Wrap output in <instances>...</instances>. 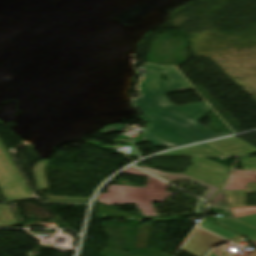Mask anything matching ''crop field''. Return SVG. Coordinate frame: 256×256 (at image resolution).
Wrapping results in <instances>:
<instances>
[{"label":"crop field","instance_id":"9","mask_svg":"<svg viewBox=\"0 0 256 256\" xmlns=\"http://www.w3.org/2000/svg\"><path fill=\"white\" fill-rule=\"evenodd\" d=\"M140 168L168 181V182H172V181H176V180H181V179H185L187 181H190L192 183H195L197 185H200L202 187H205L207 189H209L206 193H204L200 198L208 201L212 196L213 194L219 189L217 187H214L212 185H209L207 183H204L200 180H197L195 178H192L190 176H187L185 174H181V175H175V174H169V173H164V172H161V171H158V170H155L153 168H149V167H143V166H140Z\"/></svg>","mask_w":256,"mask_h":256},{"label":"crop field","instance_id":"4","mask_svg":"<svg viewBox=\"0 0 256 256\" xmlns=\"http://www.w3.org/2000/svg\"><path fill=\"white\" fill-rule=\"evenodd\" d=\"M151 122L148 130L143 135L142 141L133 140V143L140 142L151 143L154 146L179 147L187 144L196 143V141L185 135L168 128L162 124L148 120L145 116L140 118Z\"/></svg>","mask_w":256,"mask_h":256},{"label":"crop field","instance_id":"12","mask_svg":"<svg viewBox=\"0 0 256 256\" xmlns=\"http://www.w3.org/2000/svg\"><path fill=\"white\" fill-rule=\"evenodd\" d=\"M164 154H169V155H220L216 153L215 151L205 147V146H200V145H194L178 150H174L171 152H167Z\"/></svg>","mask_w":256,"mask_h":256},{"label":"crop field","instance_id":"11","mask_svg":"<svg viewBox=\"0 0 256 256\" xmlns=\"http://www.w3.org/2000/svg\"><path fill=\"white\" fill-rule=\"evenodd\" d=\"M225 192L231 206H246V193H256V184H248V190Z\"/></svg>","mask_w":256,"mask_h":256},{"label":"crop field","instance_id":"8","mask_svg":"<svg viewBox=\"0 0 256 256\" xmlns=\"http://www.w3.org/2000/svg\"><path fill=\"white\" fill-rule=\"evenodd\" d=\"M204 144L226 156L242 155L256 152V147L234 136Z\"/></svg>","mask_w":256,"mask_h":256},{"label":"crop field","instance_id":"1","mask_svg":"<svg viewBox=\"0 0 256 256\" xmlns=\"http://www.w3.org/2000/svg\"><path fill=\"white\" fill-rule=\"evenodd\" d=\"M146 79L140 85L142 96L133 99L142 113L151 120L171 126L178 131L201 142L225 135L216 133L198 123V119L211 109L205 104L175 107L164 96L166 92L192 88L188 82L174 69H156L155 66L144 67ZM159 72H164L171 82L160 81ZM193 118V124L177 127L176 125Z\"/></svg>","mask_w":256,"mask_h":256},{"label":"crop field","instance_id":"20","mask_svg":"<svg viewBox=\"0 0 256 256\" xmlns=\"http://www.w3.org/2000/svg\"><path fill=\"white\" fill-rule=\"evenodd\" d=\"M209 256H230V253L224 247H220L211 252Z\"/></svg>","mask_w":256,"mask_h":256},{"label":"crop field","instance_id":"19","mask_svg":"<svg viewBox=\"0 0 256 256\" xmlns=\"http://www.w3.org/2000/svg\"><path fill=\"white\" fill-rule=\"evenodd\" d=\"M236 220L256 228V215H252V216H248V217H244Z\"/></svg>","mask_w":256,"mask_h":256},{"label":"crop field","instance_id":"15","mask_svg":"<svg viewBox=\"0 0 256 256\" xmlns=\"http://www.w3.org/2000/svg\"><path fill=\"white\" fill-rule=\"evenodd\" d=\"M0 226L15 227L18 223L8 204L0 205Z\"/></svg>","mask_w":256,"mask_h":256},{"label":"crop field","instance_id":"18","mask_svg":"<svg viewBox=\"0 0 256 256\" xmlns=\"http://www.w3.org/2000/svg\"><path fill=\"white\" fill-rule=\"evenodd\" d=\"M125 127L126 126H124V125L116 124V125L108 126L104 129H102L100 133L109 134L112 131L121 132Z\"/></svg>","mask_w":256,"mask_h":256},{"label":"crop field","instance_id":"21","mask_svg":"<svg viewBox=\"0 0 256 256\" xmlns=\"http://www.w3.org/2000/svg\"><path fill=\"white\" fill-rule=\"evenodd\" d=\"M206 203L200 199H198L197 201V205H196V210L195 213L196 215H202L203 214V209L205 207Z\"/></svg>","mask_w":256,"mask_h":256},{"label":"crop field","instance_id":"10","mask_svg":"<svg viewBox=\"0 0 256 256\" xmlns=\"http://www.w3.org/2000/svg\"><path fill=\"white\" fill-rule=\"evenodd\" d=\"M217 223L235 230L239 233H242L248 237V239L256 245V229L251 228L245 224H242L236 220H232L230 218L223 219L220 221H216Z\"/></svg>","mask_w":256,"mask_h":256},{"label":"crop field","instance_id":"23","mask_svg":"<svg viewBox=\"0 0 256 256\" xmlns=\"http://www.w3.org/2000/svg\"><path fill=\"white\" fill-rule=\"evenodd\" d=\"M123 137H124V136H121L120 140L114 139L113 142L130 143V142H127V141H122L121 139H122Z\"/></svg>","mask_w":256,"mask_h":256},{"label":"crop field","instance_id":"16","mask_svg":"<svg viewBox=\"0 0 256 256\" xmlns=\"http://www.w3.org/2000/svg\"><path fill=\"white\" fill-rule=\"evenodd\" d=\"M212 208H219V209H229L226 203V199L224 197L223 192L221 191L216 198L210 203Z\"/></svg>","mask_w":256,"mask_h":256},{"label":"crop field","instance_id":"5","mask_svg":"<svg viewBox=\"0 0 256 256\" xmlns=\"http://www.w3.org/2000/svg\"><path fill=\"white\" fill-rule=\"evenodd\" d=\"M190 162L194 165L186 169L185 174L219 188L222 187L228 174V169L226 166L203 157H192Z\"/></svg>","mask_w":256,"mask_h":256},{"label":"crop field","instance_id":"14","mask_svg":"<svg viewBox=\"0 0 256 256\" xmlns=\"http://www.w3.org/2000/svg\"><path fill=\"white\" fill-rule=\"evenodd\" d=\"M49 162L50 161L42 160L38 162L33 168L38 191L48 189L44 169L49 164Z\"/></svg>","mask_w":256,"mask_h":256},{"label":"crop field","instance_id":"13","mask_svg":"<svg viewBox=\"0 0 256 256\" xmlns=\"http://www.w3.org/2000/svg\"><path fill=\"white\" fill-rule=\"evenodd\" d=\"M199 227H202L220 237H223V238H226L228 240H231V239H235V238H238V237H242L240 235H237L233 232H230L216 224H213L211 223L210 221L204 219L201 224L199 225Z\"/></svg>","mask_w":256,"mask_h":256},{"label":"crop field","instance_id":"3","mask_svg":"<svg viewBox=\"0 0 256 256\" xmlns=\"http://www.w3.org/2000/svg\"><path fill=\"white\" fill-rule=\"evenodd\" d=\"M0 191L7 201L32 198L33 195L0 141Z\"/></svg>","mask_w":256,"mask_h":256},{"label":"crop field","instance_id":"22","mask_svg":"<svg viewBox=\"0 0 256 256\" xmlns=\"http://www.w3.org/2000/svg\"><path fill=\"white\" fill-rule=\"evenodd\" d=\"M245 256H256V249L255 250H251L249 252H246Z\"/></svg>","mask_w":256,"mask_h":256},{"label":"crop field","instance_id":"6","mask_svg":"<svg viewBox=\"0 0 256 256\" xmlns=\"http://www.w3.org/2000/svg\"><path fill=\"white\" fill-rule=\"evenodd\" d=\"M223 242L227 241L201 229H196L182 251L193 256H206L215 245Z\"/></svg>","mask_w":256,"mask_h":256},{"label":"crop field","instance_id":"17","mask_svg":"<svg viewBox=\"0 0 256 256\" xmlns=\"http://www.w3.org/2000/svg\"><path fill=\"white\" fill-rule=\"evenodd\" d=\"M245 170L256 171V158L241 159Z\"/></svg>","mask_w":256,"mask_h":256},{"label":"crop field","instance_id":"7","mask_svg":"<svg viewBox=\"0 0 256 256\" xmlns=\"http://www.w3.org/2000/svg\"><path fill=\"white\" fill-rule=\"evenodd\" d=\"M97 206L100 210V214H101L102 219H104L105 217H107L109 215V217H124V218H127V219L131 220V221L152 220V222H154V221H166L167 220V218L142 219V218H138V217L120 212L118 210L100 205V204H98ZM113 210H115L116 212L115 213L112 212ZM152 222L145 223V224L139 226L135 248L147 249Z\"/></svg>","mask_w":256,"mask_h":256},{"label":"crop field","instance_id":"2","mask_svg":"<svg viewBox=\"0 0 256 256\" xmlns=\"http://www.w3.org/2000/svg\"><path fill=\"white\" fill-rule=\"evenodd\" d=\"M122 173L149 177L145 188L110 185L108 194L97 195V201L108 204L136 203L140 216H157L151 202L163 203L164 199L175 193L166 192L168 184L162 182L134 167H129Z\"/></svg>","mask_w":256,"mask_h":256},{"label":"crop field","instance_id":"24","mask_svg":"<svg viewBox=\"0 0 256 256\" xmlns=\"http://www.w3.org/2000/svg\"><path fill=\"white\" fill-rule=\"evenodd\" d=\"M192 121H193V119H191V120H189V121H187V122H185V123H182V124H180V125H178V126L185 125V124H190V123H192Z\"/></svg>","mask_w":256,"mask_h":256}]
</instances>
